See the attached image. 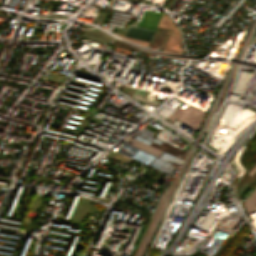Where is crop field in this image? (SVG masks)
<instances>
[{"instance_id": "1", "label": "crop field", "mask_w": 256, "mask_h": 256, "mask_svg": "<svg viewBox=\"0 0 256 256\" xmlns=\"http://www.w3.org/2000/svg\"><path fill=\"white\" fill-rule=\"evenodd\" d=\"M256 181V162L255 164L240 178V180L233 186V191L238 200Z\"/></svg>"}, {"instance_id": "3", "label": "crop field", "mask_w": 256, "mask_h": 256, "mask_svg": "<svg viewBox=\"0 0 256 256\" xmlns=\"http://www.w3.org/2000/svg\"><path fill=\"white\" fill-rule=\"evenodd\" d=\"M149 1H152V2H154V3L157 4V2H158L159 0H149Z\"/></svg>"}, {"instance_id": "2", "label": "crop field", "mask_w": 256, "mask_h": 256, "mask_svg": "<svg viewBox=\"0 0 256 256\" xmlns=\"http://www.w3.org/2000/svg\"><path fill=\"white\" fill-rule=\"evenodd\" d=\"M243 205L249 214L253 211L256 207V190L245 200Z\"/></svg>"}, {"instance_id": "4", "label": "crop field", "mask_w": 256, "mask_h": 256, "mask_svg": "<svg viewBox=\"0 0 256 256\" xmlns=\"http://www.w3.org/2000/svg\"><path fill=\"white\" fill-rule=\"evenodd\" d=\"M254 211H256V209H255ZM254 211H253V212H254Z\"/></svg>"}]
</instances>
